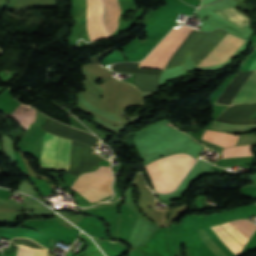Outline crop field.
Here are the masks:
<instances>
[{"mask_svg": "<svg viewBox=\"0 0 256 256\" xmlns=\"http://www.w3.org/2000/svg\"><path fill=\"white\" fill-rule=\"evenodd\" d=\"M35 251L17 250L16 256H33ZM34 256H47V253L36 251Z\"/></svg>", "mask_w": 256, "mask_h": 256, "instance_id": "crop-field-10", "label": "crop field"}, {"mask_svg": "<svg viewBox=\"0 0 256 256\" xmlns=\"http://www.w3.org/2000/svg\"><path fill=\"white\" fill-rule=\"evenodd\" d=\"M230 223L247 239L256 229V225L249 221L248 219H239L230 221ZM199 237L203 242L215 253L216 256H228L224 251H222L207 235L204 228L197 230Z\"/></svg>", "mask_w": 256, "mask_h": 256, "instance_id": "crop-field-5", "label": "crop field"}, {"mask_svg": "<svg viewBox=\"0 0 256 256\" xmlns=\"http://www.w3.org/2000/svg\"><path fill=\"white\" fill-rule=\"evenodd\" d=\"M169 156L178 172L180 173L182 179L196 160L191 155L182 152L171 154ZM169 156L150 163V166L157 179L159 180L161 186L163 187L165 193L173 191L177 187L178 183L182 180ZM150 166L146 165L144 167L153 188L160 193H164Z\"/></svg>", "mask_w": 256, "mask_h": 256, "instance_id": "crop-field-2", "label": "crop field"}, {"mask_svg": "<svg viewBox=\"0 0 256 256\" xmlns=\"http://www.w3.org/2000/svg\"><path fill=\"white\" fill-rule=\"evenodd\" d=\"M111 175L112 173L110 171V167L100 166L94 172L81 174V176L73 183L71 188L78 191L94 182L102 180ZM112 180H113V176L106 178L102 181H99L97 183H94L78 191V193H80L90 202L110 196L112 195V191H111Z\"/></svg>", "mask_w": 256, "mask_h": 256, "instance_id": "crop-field-3", "label": "crop field"}, {"mask_svg": "<svg viewBox=\"0 0 256 256\" xmlns=\"http://www.w3.org/2000/svg\"><path fill=\"white\" fill-rule=\"evenodd\" d=\"M255 81H256V71H253L250 74V76L247 78V80L245 81V83L243 84V86L241 87L239 92L236 94V96L234 97V99L232 100L230 105L241 103L242 100L245 98V96L250 91V89L253 86ZM252 101H256V82L242 103H248V102H252Z\"/></svg>", "mask_w": 256, "mask_h": 256, "instance_id": "crop-field-6", "label": "crop field"}, {"mask_svg": "<svg viewBox=\"0 0 256 256\" xmlns=\"http://www.w3.org/2000/svg\"><path fill=\"white\" fill-rule=\"evenodd\" d=\"M215 12L239 27L249 24V18L238 11L235 7L215 10Z\"/></svg>", "mask_w": 256, "mask_h": 256, "instance_id": "crop-field-8", "label": "crop field"}, {"mask_svg": "<svg viewBox=\"0 0 256 256\" xmlns=\"http://www.w3.org/2000/svg\"><path fill=\"white\" fill-rule=\"evenodd\" d=\"M209 143V142H208Z\"/></svg>", "mask_w": 256, "mask_h": 256, "instance_id": "crop-field-11", "label": "crop field"}, {"mask_svg": "<svg viewBox=\"0 0 256 256\" xmlns=\"http://www.w3.org/2000/svg\"><path fill=\"white\" fill-rule=\"evenodd\" d=\"M211 128L230 131V132H238V131H250L256 128V125H232V124H223L214 122Z\"/></svg>", "mask_w": 256, "mask_h": 256, "instance_id": "crop-field-9", "label": "crop field"}, {"mask_svg": "<svg viewBox=\"0 0 256 256\" xmlns=\"http://www.w3.org/2000/svg\"><path fill=\"white\" fill-rule=\"evenodd\" d=\"M103 3L105 6L104 24L109 35H111L118 25L117 17L120 7L117 0H103Z\"/></svg>", "mask_w": 256, "mask_h": 256, "instance_id": "crop-field-7", "label": "crop field"}, {"mask_svg": "<svg viewBox=\"0 0 256 256\" xmlns=\"http://www.w3.org/2000/svg\"><path fill=\"white\" fill-rule=\"evenodd\" d=\"M57 137L46 133L43 137V150L41 155V168L54 170ZM70 140L58 137L55 170L68 168Z\"/></svg>", "mask_w": 256, "mask_h": 256, "instance_id": "crop-field-4", "label": "crop field"}, {"mask_svg": "<svg viewBox=\"0 0 256 256\" xmlns=\"http://www.w3.org/2000/svg\"><path fill=\"white\" fill-rule=\"evenodd\" d=\"M184 27L185 26L183 25L178 29H173L168 35H166L154 48V50L142 62H139V68H155L158 61ZM192 30L193 29L188 27L182 30V32L178 35L167 52L164 54L162 59L159 61L156 68L164 69L169 59ZM244 42L245 40L237 38L228 33L198 66H210L225 63Z\"/></svg>", "mask_w": 256, "mask_h": 256, "instance_id": "crop-field-1", "label": "crop field"}]
</instances>
